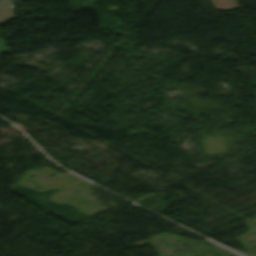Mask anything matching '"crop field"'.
<instances>
[{
	"mask_svg": "<svg viewBox=\"0 0 256 256\" xmlns=\"http://www.w3.org/2000/svg\"><path fill=\"white\" fill-rule=\"evenodd\" d=\"M0 24L5 23L14 16V6L11 0H0Z\"/></svg>",
	"mask_w": 256,
	"mask_h": 256,
	"instance_id": "crop-field-1",
	"label": "crop field"
}]
</instances>
